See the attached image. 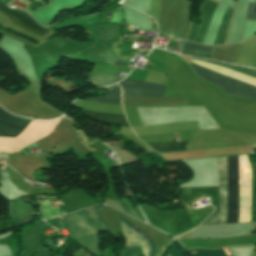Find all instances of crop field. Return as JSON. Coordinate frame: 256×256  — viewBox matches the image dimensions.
I'll return each mask as SVG.
<instances>
[{
  "label": "crop field",
  "mask_w": 256,
  "mask_h": 256,
  "mask_svg": "<svg viewBox=\"0 0 256 256\" xmlns=\"http://www.w3.org/2000/svg\"><path fill=\"white\" fill-rule=\"evenodd\" d=\"M0 11L7 14L11 21L25 29H28L40 36H44L49 29L40 27L30 16L26 13L18 10H12L5 7L3 3L0 2Z\"/></svg>",
  "instance_id": "3"
},
{
  "label": "crop field",
  "mask_w": 256,
  "mask_h": 256,
  "mask_svg": "<svg viewBox=\"0 0 256 256\" xmlns=\"http://www.w3.org/2000/svg\"><path fill=\"white\" fill-rule=\"evenodd\" d=\"M220 198L219 212L209 218L203 225L225 224L226 223V205H227V180H228V206H227V223H238V204H239V170L238 156L217 158Z\"/></svg>",
  "instance_id": "1"
},
{
  "label": "crop field",
  "mask_w": 256,
  "mask_h": 256,
  "mask_svg": "<svg viewBox=\"0 0 256 256\" xmlns=\"http://www.w3.org/2000/svg\"><path fill=\"white\" fill-rule=\"evenodd\" d=\"M194 59H196V58H194ZM198 60L209 62V63L215 64V65H219L224 68L230 69L232 71L238 72L240 74L256 78V70H254V69L236 67V66H231V65H227V64H223V63H219V62L207 61V60H202V59H198Z\"/></svg>",
  "instance_id": "12"
},
{
  "label": "crop field",
  "mask_w": 256,
  "mask_h": 256,
  "mask_svg": "<svg viewBox=\"0 0 256 256\" xmlns=\"http://www.w3.org/2000/svg\"><path fill=\"white\" fill-rule=\"evenodd\" d=\"M28 124V121L10 116L0 109V137H16Z\"/></svg>",
  "instance_id": "4"
},
{
  "label": "crop field",
  "mask_w": 256,
  "mask_h": 256,
  "mask_svg": "<svg viewBox=\"0 0 256 256\" xmlns=\"http://www.w3.org/2000/svg\"><path fill=\"white\" fill-rule=\"evenodd\" d=\"M171 256H184L178 249V247L172 242L169 253Z\"/></svg>",
  "instance_id": "19"
},
{
  "label": "crop field",
  "mask_w": 256,
  "mask_h": 256,
  "mask_svg": "<svg viewBox=\"0 0 256 256\" xmlns=\"http://www.w3.org/2000/svg\"><path fill=\"white\" fill-rule=\"evenodd\" d=\"M89 113L93 120L102 121L110 124L129 126L128 123L125 121L124 115H111V114H104V113H97V112H90V111Z\"/></svg>",
  "instance_id": "6"
},
{
  "label": "crop field",
  "mask_w": 256,
  "mask_h": 256,
  "mask_svg": "<svg viewBox=\"0 0 256 256\" xmlns=\"http://www.w3.org/2000/svg\"><path fill=\"white\" fill-rule=\"evenodd\" d=\"M195 73L202 79L218 85L224 92L232 96H243L256 100V87L241 83L220 74L214 73L190 63Z\"/></svg>",
  "instance_id": "2"
},
{
  "label": "crop field",
  "mask_w": 256,
  "mask_h": 256,
  "mask_svg": "<svg viewBox=\"0 0 256 256\" xmlns=\"http://www.w3.org/2000/svg\"><path fill=\"white\" fill-rule=\"evenodd\" d=\"M246 19L247 20H256V4L249 3Z\"/></svg>",
  "instance_id": "17"
},
{
  "label": "crop field",
  "mask_w": 256,
  "mask_h": 256,
  "mask_svg": "<svg viewBox=\"0 0 256 256\" xmlns=\"http://www.w3.org/2000/svg\"><path fill=\"white\" fill-rule=\"evenodd\" d=\"M120 86H126V87H138V88H150V89H157L164 93L165 87L163 85H157V84H151V83H145V82H139L134 80H128L125 79L118 83Z\"/></svg>",
  "instance_id": "10"
},
{
  "label": "crop field",
  "mask_w": 256,
  "mask_h": 256,
  "mask_svg": "<svg viewBox=\"0 0 256 256\" xmlns=\"http://www.w3.org/2000/svg\"><path fill=\"white\" fill-rule=\"evenodd\" d=\"M119 219L126 224L127 226H129L131 229L135 230L138 234L142 235L144 239H146L149 243L150 246V253L149 256H154L155 253V245H154V241L148 236L146 235L144 232H142L141 230H139L137 227H135L134 225H132L130 222H128L127 220H125L123 217L119 216Z\"/></svg>",
  "instance_id": "13"
},
{
  "label": "crop field",
  "mask_w": 256,
  "mask_h": 256,
  "mask_svg": "<svg viewBox=\"0 0 256 256\" xmlns=\"http://www.w3.org/2000/svg\"><path fill=\"white\" fill-rule=\"evenodd\" d=\"M183 47L193 49V50H198V51H206V52H209L211 49V47H204V46L196 45L186 41L184 42Z\"/></svg>",
  "instance_id": "16"
},
{
  "label": "crop field",
  "mask_w": 256,
  "mask_h": 256,
  "mask_svg": "<svg viewBox=\"0 0 256 256\" xmlns=\"http://www.w3.org/2000/svg\"><path fill=\"white\" fill-rule=\"evenodd\" d=\"M120 98H121V91H120V87L118 86L113 90H111L104 97H92V98H88L87 100L121 105Z\"/></svg>",
  "instance_id": "9"
},
{
  "label": "crop field",
  "mask_w": 256,
  "mask_h": 256,
  "mask_svg": "<svg viewBox=\"0 0 256 256\" xmlns=\"http://www.w3.org/2000/svg\"><path fill=\"white\" fill-rule=\"evenodd\" d=\"M123 79L118 76H109V75H98V74H90L87 81L105 85H111L119 80Z\"/></svg>",
  "instance_id": "11"
},
{
  "label": "crop field",
  "mask_w": 256,
  "mask_h": 256,
  "mask_svg": "<svg viewBox=\"0 0 256 256\" xmlns=\"http://www.w3.org/2000/svg\"><path fill=\"white\" fill-rule=\"evenodd\" d=\"M127 64V62L125 61H119V60H116L115 63L113 64L114 66H121V67H125Z\"/></svg>",
  "instance_id": "20"
},
{
  "label": "crop field",
  "mask_w": 256,
  "mask_h": 256,
  "mask_svg": "<svg viewBox=\"0 0 256 256\" xmlns=\"http://www.w3.org/2000/svg\"><path fill=\"white\" fill-rule=\"evenodd\" d=\"M224 251L226 252L227 256H229L228 251L226 250V248H223ZM223 249H219V250H201V249H191L189 250L190 252L193 250H196L197 252L193 253V255L195 256H226V254L224 253Z\"/></svg>",
  "instance_id": "14"
},
{
  "label": "crop field",
  "mask_w": 256,
  "mask_h": 256,
  "mask_svg": "<svg viewBox=\"0 0 256 256\" xmlns=\"http://www.w3.org/2000/svg\"><path fill=\"white\" fill-rule=\"evenodd\" d=\"M182 54L197 56V57H201V58L206 59L209 53L192 51V50H188V49L183 48Z\"/></svg>",
  "instance_id": "18"
},
{
  "label": "crop field",
  "mask_w": 256,
  "mask_h": 256,
  "mask_svg": "<svg viewBox=\"0 0 256 256\" xmlns=\"http://www.w3.org/2000/svg\"><path fill=\"white\" fill-rule=\"evenodd\" d=\"M33 212L31 205L25 204L22 199L12 201L9 205V215L16 224L26 221Z\"/></svg>",
  "instance_id": "5"
},
{
  "label": "crop field",
  "mask_w": 256,
  "mask_h": 256,
  "mask_svg": "<svg viewBox=\"0 0 256 256\" xmlns=\"http://www.w3.org/2000/svg\"><path fill=\"white\" fill-rule=\"evenodd\" d=\"M188 141L185 142H172V143H155L148 144L156 152H171V151H184Z\"/></svg>",
  "instance_id": "8"
},
{
  "label": "crop field",
  "mask_w": 256,
  "mask_h": 256,
  "mask_svg": "<svg viewBox=\"0 0 256 256\" xmlns=\"http://www.w3.org/2000/svg\"><path fill=\"white\" fill-rule=\"evenodd\" d=\"M141 248L140 247H128L126 248L120 256H140Z\"/></svg>",
  "instance_id": "15"
},
{
  "label": "crop field",
  "mask_w": 256,
  "mask_h": 256,
  "mask_svg": "<svg viewBox=\"0 0 256 256\" xmlns=\"http://www.w3.org/2000/svg\"><path fill=\"white\" fill-rule=\"evenodd\" d=\"M123 89V96L129 97H152V98H159L163 97V93L154 90L148 89H138V88H126L122 87Z\"/></svg>",
  "instance_id": "7"
}]
</instances>
